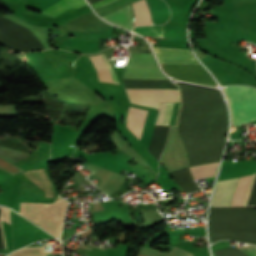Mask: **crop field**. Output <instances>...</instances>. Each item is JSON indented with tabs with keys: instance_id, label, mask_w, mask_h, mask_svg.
<instances>
[{
	"instance_id": "obj_3",
	"label": "crop field",
	"mask_w": 256,
	"mask_h": 256,
	"mask_svg": "<svg viewBox=\"0 0 256 256\" xmlns=\"http://www.w3.org/2000/svg\"><path fill=\"white\" fill-rule=\"evenodd\" d=\"M223 90L230 107L231 127L256 120V89L228 86Z\"/></svg>"
},
{
	"instance_id": "obj_4",
	"label": "crop field",
	"mask_w": 256,
	"mask_h": 256,
	"mask_svg": "<svg viewBox=\"0 0 256 256\" xmlns=\"http://www.w3.org/2000/svg\"><path fill=\"white\" fill-rule=\"evenodd\" d=\"M146 111L129 107L127 112L126 126L138 138L144 121ZM169 127L155 126L147 150L159 160L164 149Z\"/></svg>"
},
{
	"instance_id": "obj_7",
	"label": "crop field",
	"mask_w": 256,
	"mask_h": 256,
	"mask_svg": "<svg viewBox=\"0 0 256 256\" xmlns=\"http://www.w3.org/2000/svg\"><path fill=\"white\" fill-rule=\"evenodd\" d=\"M130 102L157 107L163 102H180L179 90L125 89Z\"/></svg>"
},
{
	"instance_id": "obj_6",
	"label": "crop field",
	"mask_w": 256,
	"mask_h": 256,
	"mask_svg": "<svg viewBox=\"0 0 256 256\" xmlns=\"http://www.w3.org/2000/svg\"><path fill=\"white\" fill-rule=\"evenodd\" d=\"M134 13V26L152 25L150 12L145 0H140L131 4ZM131 5L102 16L107 21L118 26L132 29Z\"/></svg>"
},
{
	"instance_id": "obj_18",
	"label": "crop field",
	"mask_w": 256,
	"mask_h": 256,
	"mask_svg": "<svg viewBox=\"0 0 256 256\" xmlns=\"http://www.w3.org/2000/svg\"><path fill=\"white\" fill-rule=\"evenodd\" d=\"M218 163L190 167L194 179L214 176Z\"/></svg>"
},
{
	"instance_id": "obj_1",
	"label": "crop field",
	"mask_w": 256,
	"mask_h": 256,
	"mask_svg": "<svg viewBox=\"0 0 256 256\" xmlns=\"http://www.w3.org/2000/svg\"><path fill=\"white\" fill-rule=\"evenodd\" d=\"M182 105L178 131L190 166L220 160L228 125L218 90L180 83Z\"/></svg>"
},
{
	"instance_id": "obj_14",
	"label": "crop field",
	"mask_w": 256,
	"mask_h": 256,
	"mask_svg": "<svg viewBox=\"0 0 256 256\" xmlns=\"http://www.w3.org/2000/svg\"><path fill=\"white\" fill-rule=\"evenodd\" d=\"M32 182L45 190V197H53V187L42 169L23 172ZM42 189V190H43Z\"/></svg>"
},
{
	"instance_id": "obj_2",
	"label": "crop field",
	"mask_w": 256,
	"mask_h": 256,
	"mask_svg": "<svg viewBox=\"0 0 256 256\" xmlns=\"http://www.w3.org/2000/svg\"><path fill=\"white\" fill-rule=\"evenodd\" d=\"M209 236L211 243L230 239L256 244V210L246 207L211 208Z\"/></svg>"
},
{
	"instance_id": "obj_22",
	"label": "crop field",
	"mask_w": 256,
	"mask_h": 256,
	"mask_svg": "<svg viewBox=\"0 0 256 256\" xmlns=\"http://www.w3.org/2000/svg\"><path fill=\"white\" fill-rule=\"evenodd\" d=\"M0 166L3 167V168H5V169H7V170H9V171H11V172H13V173H15V172L21 170V169L15 167V166H13V165H11V164L5 162V161L2 160V159H0Z\"/></svg>"
},
{
	"instance_id": "obj_9",
	"label": "crop field",
	"mask_w": 256,
	"mask_h": 256,
	"mask_svg": "<svg viewBox=\"0 0 256 256\" xmlns=\"http://www.w3.org/2000/svg\"><path fill=\"white\" fill-rule=\"evenodd\" d=\"M160 64H199L191 50L152 47Z\"/></svg>"
},
{
	"instance_id": "obj_23",
	"label": "crop field",
	"mask_w": 256,
	"mask_h": 256,
	"mask_svg": "<svg viewBox=\"0 0 256 256\" xmlns=\"http://www.w3.org/2000/svg\"><path fill=\"white\" fill-rule=\"evenodd\" d=\"M112 1H114V0H101L99 2H96V3L92 4V7H93V9H95L97 7H100L104 4H107V3L112 2Z\"/></svg>"
},
{
	"instance_id": "obj_17",
	"label": "crop field",
	"mask_w": 256,
	"mask_h": 256,
	"mask_svg": "<svg viewBox=\"0 0 256 256\" xmlns=\"http://www.w3.org/2000/svg\"><path fill=\"white\" fill-rule=\"evenodd\" d=\"M249 256H256V247L238 248ZM236 248L220 249L213 251L215 256H247Z\"/></svg>"
},
{
	"instance_id": "obj_19",
	"label": "crop field",
	"mask_w": 256,
	"mask_h": 256,
	"mask_svg": "<svg viewBox=\"0 0 256 256\" xmlns=\"http://www.w3.org/2000/svg\"><path fill=\"white\" fill-rule=\"evenodd\" d=\"M139 254L146 255V256H192L193 255V254H189L175 246L173 247L172 251L168 254L158 252L155 250H151L148 248H144V247H142Z\"/></svg>"
},
{
	"instance_id": "obj_5",
	"label": "crop field",
	"mask_w": 256,
	"mask_h": 256,
	"mask_svg": "<svg viewBox=\"0 0 256 256\" xmlns=\"http://www.w3.org/2000/svg\"><path fill=\"white\" fill-rule=\"evenodd\" d=\"M123 79L169 80L159 69L154 55L132 54L127 60Z\"/></svg>"
},
{
	"instance_id": "obj_13",
	"label": "crop field",
	"mask_w": 256,
	"mask_h": 256,
	"mask_svg": "<svg viewBox=\"0 0 256 256\" xmlns=\"http://www.w3.org/2000/svg\"><path fill=\"white\" fill-rule=\"evenodd\" d=\"M125 88L178 89L170 81L122 80Z\"/></svg>"
},
{
	"instance_id": "obj_11",
	"label": "crop field",
	"mask_w": 256,
	"mask_h": 256,
	"mask_svg": "<svg viewBox=\"0 0 256 256\" xmlns=\"http://www.w3.org/2000/svg\"><path fill=\"white\" fill-rule=\"evenodd\" d=\"M90 59L97 71L99 81L119 84L104 54L91 56Z\"/></svg>"
},
{
	"instance_id": "obj_15",
	"label": "crop field",
	"mask_w": 256,
	"mask_h": 256,
	"mask_svg": "<svg viewBox=\"0 0 256 256\" xmlns=\"http://www.w3.org/2000/svg\"><path fill=\"white\" fill-rule=\"evenodd\" d=\"M86 4L87 3L85 0H59L42 12L50 14L55 17L68 8H71V7L78 8Z\"/></svg>"
},
{
	"instance_id": "obj_8",
	"label": "crop field",
	"mask_w": 256,
	"mask_h": 256,
	"mask_svg": "<svg viewBox=\"0 0 256 256\" xmlns=\"http://www.w3.org/2000/svg\"><path fill=\"white\" fill-rule=\"evenodd\" d=\"M161 67L174 78L217 86L201 65H161Z\"/></svg>"
},
{
	"instance_id": "obj_20",
	"label": "crop field",
	"mask_w": 256,
	"mask_h": 256,
	"mask_svg": "<svg viewBox=\"0 0 256 256\" xmlns=\"http://www.w3.org/2000/svg\"><path fill=\"white\" fill-rule=\"evenodd\" d=\"M133 31L142 36L162 37V26L135 27Z\"/></svg>"
},
{
	"instance_id": "obj_12",
	"label": "crop field",
	"mask_w": 256,
	"mask_h": 256,
	"mask_svg": "<svg viewBox=\"0 0 256 256\" xmlns=\"http://www.w3.org/2000/svg\"><path fill=\"white\" fill-rule=\"evenodd\" d=\"M177 184L183 188L187 193L201 190L191 177L188 167L169 173Z\"/></svg>"
},
{
	"instance_id": "obj_16",
	"label": "crop field",
	"mask_w": 256,
	"mask_h": 256,
	"mask_svg": "<svg viewBox=\"0 0 256 256\" xmlns=\"http://www.w3.org/2000/svg\"><path fill=\"white\" fill-rule=\"evenodd\" d=\"M252 176H246L239 179L236 191L234 193L230 206H242L247 190L249 188Z\"/></svg>"
},
{
	"instance_id": "obj_21",
	"label": "crop field",
	"mask_w": 256,
	"mask_h": 256,
	"mask_svg": "<svg viewBox=\"0 0 256 256\" xmlns=\"http://www.w3.org/2000/svg\"><path fill=\"white\" fill-rule=\"evenodd\" d=\"M165 105L166 104H160V110H159V114H158L157 121H156L155 125H161L162 119H163ZM173 105H174V103H170V104L166 105V109H165V114H164V119H163L162 125H169L170 119H171Z\"/></svg>"
},
{
	"instance_id": "obj_10",
	"label": "crop field",
	"mask_w": 256,
	"mask_h": 256,
	"mask_svg": "<svg viewBox=\"0 0 256 256\" xmlns=\"http://www.w3.org/2000/svg\"><path fill=\"white\" fill-rule=\"evenodd\" d=\"M238 179L239 178L218 182L210 207L229 206Z\"/></svg>"
}]
</instances>
